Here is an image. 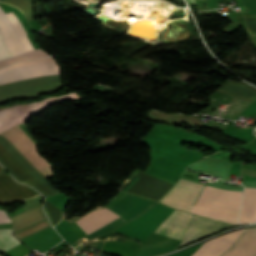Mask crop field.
I'll return each mask as SVG.
<instances>
[{"mask_svg": "<svg viewBox=\"0 0 256 256\" xmlns=\"http://www.w3.org/2000/svg\"><path fill=\"white\" fill-rule=\"evenodd\" d=\"M46 178L53 177L52 166L37 154V145L16 126L1 134ZM3 137L0 136V164L18 182L31 185L46 198L60 193Z\"/></svg>", "mask_w": 256, "mask_h": 256, "instance_id": "8a807250", "label": "crop field"}, {"mask_svg": "<svg viewBox=\"0 0 256 256\" xmlns=\"http://www.w3.org/2000/svg\"><path fill=\"white\" fill-rule=\"evenodd\" d=\"M241 196L242 192L239 191L223 190L206 185L190 212L238 224Z\"/></svg>", "mask_w": 256, "mask_h": 256, "instance_id": "ac0d7876", "label": "crop field"}, {"mask_svg": "<svg viewBox=\"0 0 256 256\" xmlns=\"http://www.w3.org/2000/svg\"><path fill=\"white\" fill-rule=\"evenodd\" d=\"M0 31L13 56L34 50L17 17L12 12L5 14L1 8ZM7 45L0 34V60L12 57Z\"/></svg>", "mask_w": 256, "mask_h": 256, "instance_id": "34b2d1b8", "label": "crop field"}, {"mask_svg": "<svg viewBox=\"0 0 256 256\" xmlns=\"http://www.w3.org/2000/svg\"><path fill=\"white\" fill-rule=\"evenodd\" d=\"M60 73L59 66L53 57L39 58L18 62L0 70V84Z\"/></svg>", "mask_w": 256, "mask_h": 256, "instance_id": "412701ff", "label": "crop field"}, {"mask_svg": "<svg viewBox=\"0 0 256 256\" xmlns=\"http://www.w3.org/2000/svg\"><path fill=\"white\" fill-rule=\"evenodd\" d=\"M80 98L74 92L48 98L36 103L0 108V133L9 129L10 127L22 123L30 116L37 115L46 106L57 103L65 99Z\"/></svg>", "mask_w": 256, "mask_h": 256, "instance_id": "f4fd0767", "label": "crop field"}, {"mask_svg": "<svg viewBox=\"0 0 256 256\" xmlns=\"http://www.w3.org/2000/svg\"><path fill=\"white\" fill-rule=\"evenodd\" d=\"M155 201L145 200L135 195H127L126 197L119 200L117 203L112 205L110 208L114 213L122 216L127 222L134 219L149 207H151ZM126 223L121 217L112 221L111 223L103 226L102 228L94 231L93 233L87 235L90 239L106 233L122 224Z\"/></svg>", "mask_w": 256, "mask_h": 256, "instance_id": "dd49c442", "label": "crop field"}, {"mask_svg": "<svg viewBox=\"0 0 256 256\" xmlns=\"http://www.w3.org/2000/svg\"><path fill=\"white\" fill-rule=\"evenodd\" d=\"M203 187L204 184L179 178L175 186L159 202L189 212Z\"/></svg>", "mask_w": 256, "mask_h": 256, "instance_id": "e52e79f7", "label": "crop field"}, {"mask_svg": "<svg viewBox=\"0 0 256 256\" xmlns=\"http://www.w3.org/2000/svg\"><path fill=\"white\" fill-rule=\"evenodd\" d=\"M231 226H234V225L194 215L184 234V237L182 239L180 246L186 243H189L191 241H194L196 239H199L201 237H204L217 230L228 228Z\"/></svg>", "mask_w": 256, "mask_h": 256, "instance_id": "d8731c3e", "label": "crop field"}, {"mask_svg": "<svg viewBox=\"0 0 256 256\" xmlns=\"http://www.w3.org/2000/svg\"><path fill=\"white\" fill-rule=\"evenodd\" d=\"M0 179L5 182L15 193L22 199H27L38 195L35 190L30 187L23 186L14 181L10 175L0 166ZM0 180V203H8L15 200H21L6 184Z\"/></svg>", "mask_w": 256, "mask_h": 256, "instance_id": "5a996713", "label": "crop field"}, {"mask_svg": "<svg viewBox=\"0 0 256 256\" xmlns=\"http://www.w3.org/2000/svg\"><path fill=\"white\" fill-rule=\"evenodd\" d=\"M192 217V214L175 210L172 215L159 226L154 233L168 237L182 239L185 229Z\"/></svg>", "mask_w": 256, "mask_h": 256, "instance_id": "3316defc", "label": "crop field"}, {"mask_svg": "<svg viewBox=\"0 0 256 256\" xmlns=\"http://www.w3.org/2000/svg\"><path fill=\"white\" fill-rule=\"evenodd\" d=\"M222 256H256V228H247Z\"/></svg>", "mask_w": 256, "mask_h": 256, "instance_id": "28ad6ade", "label": "crop field"}, {"mask_svg": "<svg viewBox=\"0 0 256 256\" xmlns=\"http://www.w3.org/2000/svg\"><path fill=\"white\" fill-rule=\"evenodd\" d=\"M105 207L97 208L93 211L104 209ZM113 212L104 209L96 212L89 213L76 221V223L87 233H91L94 230L102 227L103 225L118 218Z\"/></svg>", "mask_w": 256, "mask_h": 256, "instance_id": "d1516ede", "label": "crop field"}, {"mask_svg": "<svg viewBox=\"0 0 256 256\" xmlns=\"http://www.w3.org/2000/svg\"><path fill=\"white\" fill-rule=\"evenodd\" d=\"M240 223L256 221V189L245 188Z\"/></svg>", "mask_w": 256, "mask_h": 256, "instance_id": "22f410ed", "label": "crop field"}, {"mask_svg": "<svg viewBox=\"0 0 256 256\" xmlns=\"http://www.w3.org/2000/svg\"><path fill=\"white\" fill-rule=\"evenodd\" d=\"M40 49L31 51V52H28L25 54H21V55L12 57L7 60L0 61V68L10 65L16 61L31 60V59L38 58V57L50 56L49 54L45 53L44 51H42Z\"/></svg>", "mask_w": 256, "mask_h": 256, "instance_id": "cbeb9de0", "label": "crop field"}, {"mask_svg": "<svg viewBox=\"0 0 256 256\" xmlns=\"http://www.w3.org/2000/svg\"><path fill=\"white\" fill-rule=\"evenodd\" d=\"M20 244L18 240L13 236L11 229L0 230V251H4Z\"/></svg>", "mask_w": 256, "mask_h": 256, "instance_id": "5142ce71", "label": "crop field"}, {"mask_svg": "<svg viewBox=\"0 0 256 256\" xmlns=\"http://www.w3.org/2000/svg\"><path fill=\"white\" fill-rule=\"evenodd\" d=\"M188 2L190 3V5L196 6L195 0H188Z\"/></svg>", "mask_w": 256, "mask_h": 256, "instance_id": "d9b57169", "label": "crop field"}]
</instances>
